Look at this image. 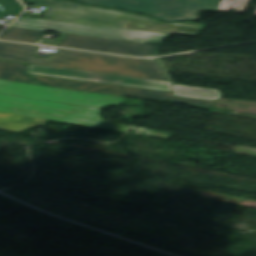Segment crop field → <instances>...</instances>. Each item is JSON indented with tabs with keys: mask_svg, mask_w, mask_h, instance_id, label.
<instances>
[{
	"mask_svg": "<svg viewBox=\"0 0 256 256\" xmlns=\"http://www.w3.org/2000/svg\"><path fill=\"white\" fill-rule=\"evenodd\" d=\"M39 46L0 42V60L169 81L160 62L58 49L54 59L34 57Z\"/></svg>",
	"mask_w": 256,
	"mask_h": 256,
	"instance_id": "8a807250",
	"label": "crop field"
},
{
	"mask_svg": "<svg viewBox=\"0 0 256 256\" xmlns=\"http://www.w3.org/2000/svg\"><path fill=\"white\" fill-rule=\"evenodd\" d=\"M12 27L161 45L171 34L197 37L201 29L125 20L121 29L19 17Z\"/></svg>",
	"mask_w": 256,
	"mask_h": 256,
	"instance_id": "ac0d7876",
	"label": "crop field"
},
{
	"mask_svg": "<svg viewBox=\"0 0 256 256\" xmlns=\"http://www.w3.org/2000/svg\"><path fill=\"white\" fill-rule=\"evenodd\" d=\"M0 111L125 133L124 124L107 122L99 109L0 94Z\"/></svg>",
	"mask_w": 256,
	"mask_h": 256,
	"instance_id": "34b2d1b8",
	"label": "crop field"
},
{
	"mask_svg": "<svg viewBox=\"0 0 256 256\" xmlns=\"http://www.w3.org/2000/svg\"><path fill=\"white\" fill-rule=\"evenodd\" d=\"M28 3L46 7L42 19L65 21L87 25L120 28L124 19L204 29L206 25L195 23H163L151 16L126 12L120 9L93 7L66 0H29Z\"/></svg>",
	"mask_w": 256,
	"mask_h": 256,
	"instance_id": "412701ff",
	"label": "crop field"
},
{
	"mask_svg": "<svg viewBox=\"0 0 256 256\" xmlns=\"http://www.w3.org/2000/svg\"><path fill=\"white\" fill-rule=\"evenodd\" d=\"M156 15L164 21L198 19L199 11L217 12L221 0H77Z\"/></svg>",
	"mask_w": 256,
	"mask_h": 256,
	"instance_id": "f4fd0767",
	"label": "crop field"
},
{
	"mask_svg": "<svg viewBox=\"0 0 256 256\" xmlns=\"http://www.w3.org/2000/svg\"><path fill=\"white\" fill-rule=\"evenodd\" d=\"M0 93L94 108L119 105L125 97L0 80Z\"/></svg>",
	"mask_w": 256,
	"mask_h": 256,
	"instance_id": "dd49c442",
	"label": "crop field"
},
{
	"mask_svg": "<svg viewBox=\"0 0 256 256\" xmlns=\"http://www.w3.org/2000/svg\"><path fill=\"white\" fill-rule=\"evenodd\" d=\"M33 77L48 86L78 89V90L122 95V96H130V97H136V98H143V99H150V100H156V101H163V102H170V103L198 106V107H206V108H211L215 103L214 101L174 97V93H168V92L135 89V88L116 86V85L79 82V81H71V80L48 78V77H39V76H33Z\"/></svg>",
	"mask_w": 256,
	"mask_h": 256,
	"instance_id": "e52e79f7",
	"label": "crop field"
},
{
	"mask_svg": "<svg viewBox=\"0 0 256 256\" xmlns=\"http://www.w3.org/2000/svg\"><path fill=\"white\" fill-rule=\"evenodd\" d=\"M27 74L171 92L169 82L29 65Z\"/></svg>",
	"mask_w": 256,
	"mask_h": 256,
	"instance_id": "d8731c3e",
	"label": "crop field"
},
{
	"mask_svg": "<svg viewBox=\"0 0 256 256\" xmlns=\"http://www.w3.org/2000/svg\"><path fill=\"white\" fill-rule=\"evenodd\" d=\"M61 47L128 55L158 56L160 46L67 34Z\"/></svg>",
	"mask_w": 256,
	"mask_h": 256,
	"instance_id": "5a996713",
	"label": "crop field"
},
{
	"mask_svg": "<svg viewBox=\"0 0 256 256\" xmlns=\"http://www.w3.org/2000/svg\"><path fill=\"white\" fill-rule=\"evenodd\" d=\"M46 120L23 117L0 112V129L20 132L33 126H44Z\"/></svg>",
	"mask_w": 256,
	"mask_h": 256,
	"instance_id": "3316defc",
	"label": "crop field"
},
{
	"mask_svg": "<svg viewBox=\"0 0 256 256\" xmlns=\"http://www.w3.org/2000/svg\"><path fill=\"white\" fill-rule=\"evenodd\" d=\"M27 65L21 63L0 61V79L41 85L25 75ZM43 86V85H42Z\"/></svg>",
	"mask_w": 256,
	"mask_h": 256,
	"instance_id": "28ad6ade",
	"label": "crop field"
},
{
	"mask_svg": "<svg viewBox=\"0 0 256 256\" xmlns=\"http://www.w3.org/2000/svg\"><path fill=\"white\" fill-rule=\"evenodd\" d=\"M175 96L213 100L221 97L217 90L173 84Z\"/></svg>",
	"mask_w": 256,
	"mask_h": 256,
	"instance_id": "d1516ede",
	"label": "crop field"
},
{
	"mask_svg": "<svg viewBox=\"0 0 256 256\" xmlns=\"http://www.w3.org/2000/svg\"><path fill=\"white\" fill-rule=\"evenodd\" d=\"M44 34L43 31L8 27L0 34V39L38 43Z\"/></svg>",
	"mask_w": 256,
	"mask_h": 256,
	"instance_id": "22f410ed",
	"label": "crop field"
},
{
	"mask_svg": "<svg viewBox=\"0 0 256 256\" xmlns=\"http://www.w3.org/2000/svg\"><path fill=\"white\" fill-rule=\"evenodd\" d=\"M24 7L17 0H0V16L21 13Z\"/></svg>",
	"mask_w": 256,
	"mask_h": 256,
	"instance_id": "cbeb9de0",
	"label": "crop field"
},
{
	"mask_svg": "<svg viewBox=\"0 0 256 256\" xmlns=\"http://www.w3.org/2000/svg\"><path fill=\"white\" fill-rule=\"evenodd\" d=\"M240 1H241V0H236L235 3H234V6H233V8H232V9H235L236 12H238V13L244 12V10H245V8H246V5H247V3H248V0H244V1H243V4H242V7H241V9H240V8H238V6H239V4H240ZM225 2H226V0H222V3H221V5H220L218 11L229 12V9H230V7H231V4H232L233 0H228L226 6H225V8H224V10H222V8H223Z\"/></svg>",
	"mask_w": 256,
	"mask_h": 256,
	"instance_id": "5142ce71",
	"label": "crop field"
},
{
	"mask_svg": "<svg viewBox=\"0 0 256 256\" xmlns=\"http://www.w3.org/2000/svg\"><path fill=\"white\" fill-rule=\"evenodd\" d=\"M254 15H256V12H255V14Z\"/></svg>",
	"mask_w": 256,
	"mask_h": 256,
	"instance_id": "d9b57169",
	"label": "crop field"
}]
</instances>
